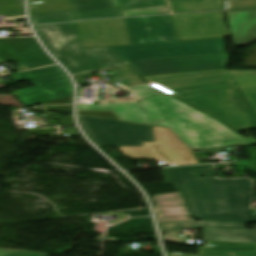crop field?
<instances>
[{
    "label": "crop field",
    "mask_w": 256,
    "mask_h": 256,
    "mask_svg": "<svg viewBox=\"0 0 256 256\" xmlns=\"http://www.w3.org/2000/svg\"><path fill=\"white\" fill-rule=\"evenodd\" d=\"M165 184L173 183L180 191L193 218L255 223L250 216L251 182L239 180H206L207 165L161 169ZM204 176L202 180L199 176Z\"/></svg>",
    "instance_id": "obj_1"
},
{
    "label": "crop field",
    "mask_w": 256,
    "mask_h": 256,
    "mask_svg": "<svg viewBox=\"0 0 256 256\" xmlns=\"http://www.w3.org/2000/svg\"><path fill=\"white\" fill-rule=\"evenodd\" d=\"M35 29L52 54L73 74L124 64L109 47L81 50L75 23Z\"/></svg>",
    "instance_id": "obj_2"
},
{
    "label": "crop field",
    "mask_w": 256,
    "mask_h": 256,
    "mask_svg": "<svg viewBox=\"0 0 256 256\" xmlns=\"http://www.w3.org/2000/svg\"><path fill=\"white\" fill-rule=\"evenodd\" d=\"M18 81H30L36 84L32 88L13 93L24 106H32L72 95L71 83L58 66L19 73L12 84Z\"/></svg>",
    "instance_id": "obj_3"
},
{
    "label": "crop field",
    "mask_w": 256,
    "mask_h": 256,
    "mask_svg": "<svg viewBox=\"0 0 256 256\" xmlns=\"http://www.w3.org/2000/svg\"><path fill=\"white\" fill-rule=\"evenodd\" d=\"M111 48L123 61L225 53L224 38Z\"/></svg>",
    "instance_id": "obj_4"
},
{
    "label": "crop field",
    "mask_w": 256,
    "mask_h": 256,
    "mask_svg": "<svg viewBox=\"0 0 256 256\" xmlns=\"http://www.w3.org/2000/svg\"><path fill=\"white\" fill-rule=\"evenodd\" d=\"M79 121L88 136L99 146H142V141H154L152 126L82 116H79Z\"/></svg>",
    "instance_id": "obj_5"
},
{
    "label": "crop field",
    "mask_w": 256,
    "mask_h": 256,
    "mask_svg": "<svg viewBox=\"0 0 256 256\" xmlns=\"http://www.w3.org/2000/svg\"><path fill=\"white\" fill-rule=\"evenodd\" d=\"M228 56L229 55L227 54H219L179 58H165L128 62L127 65L138 76H144L154 74L225 68Z\"/></svg>",
    "instance_id": "obj_6"
},
{
    "label": "crop field",
    "mask_w": 256,
    "mask_h": 256,
    "mask_svg": "<svg viewBox=\"0 0 256 256\" xmlns=\"http://www.w3.org/2000/svg\"><path fill=\"white\" fill-rule=\"evenodd\" d=\"M162 233L180 232L181 228H203V239L256 243L255 230H246L244 224L201 221L159 223Z\"/></svg>",
    "instance_id": "obj_7"
},
{
    "label": "crop field",
    "mask_w": 256,
    "mask_h": 256,
    "mask_svg": "<svg viewBox=\"0 0 256 256\" xmlns=\"http://www.w3.org/2000/svg\"><path fill=\"white\" fill-rule=\"evenodd\" d=\"M132 45L178 41L170 16L125 19Z\"/></svg>",
    "instance_id": "obj_8"
},
{
    "label": "crop field",
    "mask_w": 256,
    "mask_h": 256,
    "mask_svg": "<svg viewBox=\"0 0 256 256\" xmlns=\"http://www.w3.org/2000/svg\"><path fill=\"white\" fill-rule=\"evenodd\" d=\"M74 12L119 7L117 0H70Z\"/></svg>",
    "instance_id": "obj_9"
},
{
    "label": "crop field",
    "mask_w": 256,
    "mask_h": 256,
    "mask_svg": "<svg viewBox=\"0 0 256 256\" xmlns=\"http://www.w3.org/2000/svg\"><path fill=\"white\" fill-rule=\"evenodd\" d=\"M33 24H45V23H59L73 21V12H62V13H40L30 14Z\"/></svg>",
    "instance_id": "obj_10"
},
{
    "label": "crop field",
    "mask_w": 256,
    "mask_h": 256,
    "mask_svg": "<svg viewBox=\"0 0 256 256\" xmlns=\"http://www.w3.org/2000/svg\"><path fill=\"white\" fill-rule=\"evenodd\" d=\"M121 10L166 4L165 0H118Z\"/></svg>",
    "instance_id": "obj_11"
},
{
    "label": "crop field",
    "mask_w": 256,
    "mask_h": 256,
    "mask_svg": "<svg viewBox=\"0 0 256 256\" xmlns=\"http://www.w3.org/2000/svg\"><path fill=\"white\" fill-rule=\"evenodd\" d=\"M76 14L78 19H96V18L122 16L120 12V8L101 10V11H92V12H81Z\"/></svg>",
    "instance_id": "obj_12"
},
{
    "label": "crop field",
    "mask_w": 256,
    "mask_h": 256,
    "mask_svg": "<svg viewBox=\"0 0 256 256\" xmlns=\"http://www.w3.org/2000/svg\"><path fill=\"white\" fill-rule=\"evenodd\" d=\"M79 115L118 121L112 112H79Z\"/></svg>",
    "instance_id": "obj_13"
},
{
    "label": "crop field",
    "mask_w": 256,
    "mask_h": 256,
    "mask_svg": "<svg viewBox=\"0 0 256 256\" xmlns=\"http://www.w3.org/2000/svg\"><path fill=\"white\" fill-rule=\"evenodd\" d=\"M0 256H45L42 254L18 252L12 250H0Z\"/></svg>",
    "instance_id": "obj_14"
},
{
    "label": "crop field",
    "mask_w": 256,
    "mask_h": 256,
    "mask_svg": "<svg viewBox=\"0 0 256 256\" xmlns=\"http://www.w3.org/2000/svg\"><path fill=\"white\" fill-rule=\"evenodd\" d=\"M245 149L251 155L250 160H256V146L255 147H248V148H245ZM255 165H256V162H250L248 170H251L252 173H256V166Z\"/></svg>",
    "instance_id": "obj_15"
},
{
    "label": "crop field",
    "mask_w": 256,
    "mask_h": 256,
    "mask_svg": "<svg viewBox=\"0 0 256 256\" xmlns=\"http://www.w3.org/2000/svg\"><path fill=\"white\" fill-rule=\"evenodd\" d=\"M163 241L167 243H183L188 244V239H179L178 235H162Z\"/></svg>",
    "instance_id": "obj_16"
},
{
    "label": "crop field",
    "mask_w": 256,
    "mask_h": 256,
    "mask_svg": "<svg viewBox=\"0 0 256 256\" xmlns=\"http://www.w3.org/2000/svg\"><path fill=\"white\" fill-rule=\"evenodd\" d=\"M44 108H45V111L71 113V106H54V107H44Z\"/></svg>",
    "instance_id": "obj_17"
},
{
    "label": "crop field",
    "mask_w": 256,
    "mask_h": 256,
    "mask_svg": "<svg viewBox=\"0 0 256 256\" xmlns=\"http://www.w3.org/2000/svg\"><path fill=\"white\" fill-rule=\"evenodd\" d=\"M72 103V96L71 97H67L64 99H60V100H56L53 102H49V103H45L43 105H51V104H71Z\"/></svg>",
    "instance_id": "obj_18"
},
{
    "label": "crop field",
    "mask_w": 256,
    "mask_h": 256,
    "mask_svg": "<svg viewBox=\"0 0 256 256\" xmlns=\"http://www.w3.org/2000/svg\"><path fill=\"white\" fill-rule=\"evenodd\" d=\"M29 134H53L52 129L29 130Z\"/></svg>",
    "instance_id": "obj_19"
},
{
    "label": "crop field",
    "mask_w": 256,
    "mask_h": 256,
    "mask_svg": "<svg viewBox=\"0 0 256 256\" xmlns=\"http://www.w3.org/2000/svg\"><path fill=\"white\" fill-rule=\"evenodd\" d=\"M215 178L214 168L212 165H208L207 179Z\"/></svg>",
    "instance_id": "obj_20"
},
{
    "label": "crop field",
    "mask_w": 256,
    "mask_h": 256,
    "mask_svg": "<svg viewBox=\"0 0 256 256\" xmlns=\"http://www.w3.org/2000/svg\"><path fill=\"white\" fill-rule=\"evenodd\" d=\"M63 119L65 125L74 126L71 116H63Z\"/></svg>",
    "instance_id": "obj_21"
},
{
    "label": "crop field",
    "mask_w": 256,
    "mask_h": 256,
    "mask_svg": "<svg viewBox=\"0 0 256 256\" xmlns=\"http://www.w3.org/2000/svg\"><path fill=\"white\" fill-rule=\"evenodd\" d=\"M15 31H29L28 28L14 29Z\"/></svg>",
    "instance_id": "obj_22"
},
{
    "label": "crop field",
    "mask_w": 256,
    "mask_h": 256,
    "mask_svg": "<svg viewBox=\"0 0 256 256\" xmlns=\"http://www.w3.org/2000/svg\"><path fill=\"white\" fill-rule=\"evenodd\" d=\"M21 35H31L30 33H21Z\"/></svg>",
    "instance_id": "obj_23"
},
{
    "label": "crop field",
    "mask_w": 256,
    "mask_h": 256,
    "mask_svg": "<svg viewBox=\"0 0 256 256\" xmlns=\"http://www.w3.org/2000/svg\"><path fill=\"white\" fill-rule=\"evenodd\" d=\"M15 20H19V19H15Z\"/></svg>",
    "instance_id": "obj_24"
}]
</instances>
